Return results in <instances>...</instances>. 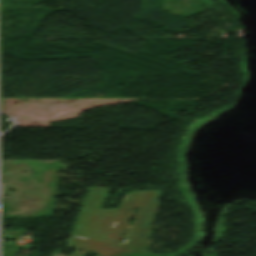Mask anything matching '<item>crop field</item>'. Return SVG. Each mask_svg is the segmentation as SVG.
Segmentation results:
<instances>
[{"label": "crop field", "mask_w": 256, "mask_h": 256, "mask_svg": "<svg viewBox=\"0 0 256 256\" xmlns=\"http://www.w3.org/2000/svg\"><path fill=\"white\" fill-rule=\"evenodd\" d=\"M110 191L89 189L71 234L119 245L142 192L125 194L118 211L103 210ZM161 192L144 193L135 223L128 230L126 247L146 251Z\"/></svg>", "instance_id": "obj_1"}, {"label": "crop field", "mask_w": 256, "mask_h": 256, "mask_svg": "<svg viewBox=\"0 0 256 256\" xmlns=\"http://www.w3.org/2000/svg\"><path fill=\"white\" fill-rule=\"evenodd\" d=\"M68 247L77 249L72 256H85L88 252L98 254L97 256H112L124 250L122 248L94 243L74 237H72ZM80 250H84V252H80Z\"/></svg>", "instance_id": "obj_2"}, {"label": "crop field", "mask_w": 256, "mask_h": 256, "mask_svg": "<svg viewBox=\"0 0 256 256\" xmlns=\"http://www.w3.org/2000/svg\"><path fill=\"white\" fill-rule=\"evenodd\" d=\"M75 237V236H74ZM79 238V237H78ZM83 239V238H82ZM87 240V239H86ZM91 241V240H90ZM95 242V241H94ZM144 252H139V251H134V250H129V249H126L125 251L115 255V256H136V255H139V254H142Z\"/></svg>", "instance_id": "obj_3"}]
</instances>
